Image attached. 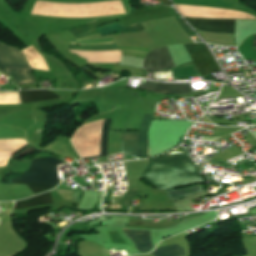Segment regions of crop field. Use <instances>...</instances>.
I'll list each match as a JSON object with an SVG mask.
<instances>
[{"mask_svg":"<svg viewBox=\"0 0 256 256\" xmlns=\"http://www.w3.org/2000/svg\"><path fill=\"white\" fill-rule=\"evenodd\" d=\"M142 178L161 190L204 181L188 154L170 155L150 160L149 167L143 173Z\"/></svg>","mask_w":256,"mask_h":256,"instance_id":"obj_1","label":"crop field"},{"mask_svg":"<svg viewBox=\"0 0 256 256\" xmlns=\"http://www.w3.org/2000/svg\"><path fill=\"white\" fill-rule=\"evenodd\" d=\"M61 163L63 162L53 157L36 158L32 160L30 168L27 171H25L19 177L11 179V181H29L55 185L58 182V175L55 165ZM59 166L61 165L56 167ZM29 182H12V184H26L33 193L52 187L51 185Z\"/></svg>","mask_w":256,"mask_h":256,"instance_id":"obj_2","label":"crop field"},{"mask_svg":"<svg viewBox=\"0 0 256 256\" xmlns=\"http://www.w3.org/2000/svg\"><path fill=\"white\" fill-rule=\"evenodd\" d=\"M0 70L9 73L19 83L37 82L22 52L0 43Z\"/></svg>","mask_w":256,"mask_h":256,"instance_id":"obj_3","label":"crop field"},{"mask_svg":"<svg viewBox=\"0 0 256 256\" xmlns=\"http://www.w3.org/2000/svg\"><path fill=\"white\" fill-rule=\"evenodd\" d=\"M187 52L207 49L203 43L184 45ZM201 76L220 70L209 50L189 53Z\"/></svg>","mask_w":256,"mask_h":256,"instance_id":"obj_4","label":"crop field"},{"mask_svg":"<svg viewBox=\"0 0 256 256\" xmlns=\"http://www.w3.org/2000/svg\"><path fill=\"white\" fill-rule=\"evenodd\" d=\"M174 66L166 47L157 48L149 52L143 63V68L148 73L168 69Z\"/></svg>","mask_w":256,"mask_h":256,"instance_id":"obj_5","label":"crop field"},{"mask_svg":"<svg viewBox=\"0 0 256 256\" xmlns=\"http://www.w3.org/2000/svg\"><path fill=\"white\" fill-rule=\"evenodd\" d=\"M187 19L199 30L221 33H233L235 23V20Z\"/></svg>","mask_w":256,"mask_h":256,"instance_id":"obj_6","label":"crop field"},{"mask_svg":"<svg viewBox=\"0 0 256 256\" xmlns=\"http://www.w3.org/2000/svg\"><path fill=\"white\" fill-rule=\"evenodd\" d=\"M124 234L133 243L137 251H148L153 247L150 230L124 229Z\"/></svg>","mask_w":256,"mask_h":256,"instance_id":"obj_7","label":"crop field"},{"mask_svg":"<svg viewBox=\"0 0 256 256\" xmlns=\"http://www.w3.org/2000/svg\"><path fill=\"white\" fill-rule=\"evenodd\" d=\"M152 118H153V115H149V114L143 115L141 127L138 131V137H137V157H148L147 129Z\"/></svg>","mask_w":256,"mask_h":256,"instance_id":"obj_8","label":"crop field"},{"mask_svg":"<svg viewBox=\"0 0 256 256\" xmlns=\"http://www.w3.org/2000/svg\"><path fill=\"white\" fill-rule=\"evenodd\" d=\"M22 104L59 98L58 95L47 90L18 92Z\"/></svg>","mask_w":256,"mask_h":256,"instance_id":"obj_9","label":"crop field"},{"mask_svg":"<svg viewBox=\"0 0 256 256\" xmlns=\"http://www.w3.org/2000/svg\"><path fill=\"white\" fill-rule=\"evenodd\" d=\"M201 192H204V190L200 187V185L192 186L184 189H175V190L166 191L172 203L188 198L190 196L199 194Z\"/></svg>","mask_w":256,"mask_h":256,"instance_id":"obj_10","label":"crop field"},{"mask_svg":"<svg viewBox=\"0 0 256 256\" xmlns=\"http://www.w3.org/2000/svg\"><path fill=\"white\" fill-rule=\"evenodd\" d=\"M137 132H122V153L125 156L136 155Z\"/></svg>","mask_w":256,"mask_h":256,"instance_id":"obj_11","label":"crop field"},{"mask_svg":"<svg viewBox=\"0 0 256 256\" xmlns=\"http://www.w3.org/2000/svg\"><path fill=\"white\" fill-rule=\"evenodd\" d=\"M49 203H52L50 192L42 194V195L34 197V198L27 199V200L17 201V202H15L14 209L49 204Z\"/></svg>","mask_w":256,"mask_h":256,"instance_id":"obj_12","label":"crop field"},{"mask_svg":"<svg viewBox=\"0 0 256 256\" xmlns=\"http://www.w3.org/2000/svg\"><path fill=\"white\" fill-rule=\"evenodd\" d=\"M150 254L152 256H183L185 255L183 249L177 245L157 248Z\"/></svg>","mask_w":256,"mask_h":256,"instance_id":"obj_13","label":"crop field"},{"mask_svg":"<svg viewBox=\"0 0 256 256\" xmlns=\"http://www.w3.org/2000/svg\"><path fill=\"white\" fill-rule=\"evenodd\" d=\"M158 89L171 91L176 93L177 95H184L191 93V85L190 83L186 84H162L160 83Z\"/></svg>","mask_w":256,"mask_h":256,"instance_id":"obj_14","label":"crop field"},{"mask_svg":"<svg viewBox=\"0 0 256 256\" xmlns=\"http://www.w3.org/2000/svg\"><path fill=\"white\" fill-rule=\"evenodd\" d=\"M26 143L24 140L11 139V140H0V151L3 150H21L25 147Z\"/></svg>","mask_w":256,"mask_h":256,"instance_id":"obj_15","label":"crop field"},{"mask_svg":"<svg viewBox=\"0 0 256 256\" xmlns=\"http://www.w3.org/2000/svg\"><path fill=\"white\" fill-rule=\"evenodd\" d=\"M109 124H110V120H104L103 128H102L101 156H98V157L107 156V140H108ZM93 158H96V157H93ZM85 159H89V158H85Z\"/></svg>","mask_w":256,"mask_h":256,"instance_id":"obj_16","label":"crop field"},{"mask_svg":"<svg viewBox=\"0 0 256 256\" xmlns=\"http://www.w3.org/2000/svg\"><path fill=\"white\" fill-rule=\"evenodd\" d=\"M124 27L117 23H113L104 27L96 28V31L102 35L113 34L117 32H125Z\"/></svg>","mask_w":256,"mask_h":256,"instance_id":"obj_17","label":"crop field"},{"mask_svg":"<svg viewBox=\"0 0 256 256\" xmlns=\"http://www.w3.org/2000/svg\"><path fill=\"white\" fill-rule=\"evenodd\" d=\"M158 83L155 82H149V81H144L142 86H138L139 89H143V90H148V91H154V92H160V93H164V94H172L170 92H166V91H160L158 89H155Z\"/></svg>","mask_w":256,"mask_h":256,"instance_id":"obj_18","label":"crop field"},{"mask_svg":"<svg viewBox=\"0 0 256 256\" xmlns=\"http://www.w3.org/2000/svg\"><path fill=\"white\" fill-rule=\"evenodd\" d=\"M56 190H65V189H56ZM65 191H73V197L72 200L79 201L80 197L82 195L83 191H77V190H65Z\"/></svg>","mask_w":256,"mask_h":256,"instance_id":"obj_19","label":"crop field"},{"mask_svg":"<svg viewBox=\"0 0 256 256\" xmlns=\"http://www.w3.org/2000/svg\"><path fill=\"white\" fill-rule=\"evenodd\" d=\"M246 79L252 78L250 71L243 72Z\"/></svg>","mask_w":256,"mask_h":256,"instance_id":"obj_20","label":"crop field"},{"mask_svg":"<svg viewBox=\"0 0 256 256\" xmlns=\"http://www.w3.org/2000/svg\"><path fill=\"white\" fill-rule=\"evenodd\" d=\"M107 43H114V42L97 43V44H107ZM71 44H82V43H71ZM97 44H83V45H97Z\"/></svg>","mask_w":256,"mask_h":256,"instance_id":"obj_21","label":"crop field"},{"mask_svg":"<svg viewBox=\"0 0 256 256\" xmlns=\"http://www.w3.org/2000/svg\"><path fill=\"white\" fill-rule=\"evenodd\" d=\"M253 46H256V35H254V38H253Z\"/></svg>","mask_w":256,"mask_h":256,"instance_id":"obj_22","label":"crop field"},{"mask_svg":"<svg viewBox=\"0 0 256 256\" xmlns=\"http://www.w3.org/2000/svg\"><path fill=\"white\" fill-rule=\"evenodd\" d=\"M101 251H103V252H104L105 256H109L108 252H107L104 248H103V249H101Z\"/></svg>","mask_w":256,"mask_h":256,"instance_id":"obj_23","label":"crop field"}]
</instances>
